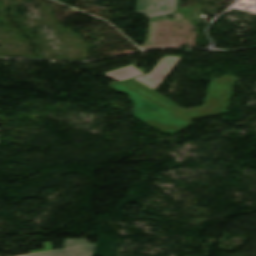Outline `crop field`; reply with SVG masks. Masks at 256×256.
Instances as JSON below:
<instances>
[{
    "instance_id": "8a807250",
    "label": "crop field",
    "mask_w": 256,
    "mask_h": 256,
    "mask_svg": "<svg viewBox=\"0 0 256 256\" xmlns=\"http://www.w3.org/2000/svg\"><path fill=\"white\" fill-rule=\"evenodd\" d=\"M234 82L233 77H221L211 82L204 105L193 109H181L132 79L112 83L110 88L131 97L135 105L132 116L164 133L176 134L193 125L191 119L227 111Z\"/></svg>"
},
{
    "instance_id": "ac0d7876",
    "label": "crop field",
    "mask_w": 256,
    "mask_h": 256,
    "mask_svg": "<svg viewBox=\"0 0 256 256\" xmlns=\"http://www.w3.org/2000/svg\"><path fill=\"white\" fill-rule=\"evenodd\" d=\"M181 58L182 57L174 56L163 57L150 73L133 79L154 90L175 67Z\"/></svg>"
},
{
    "instance_id": "34b2d1b8",
    "label": "crop field",
    "mask_w": 256,
    "mask_h": 256,
    "mask_svg": "<svg viewBox=\"0 0 256 256\" xmlns=\"http://www.w3.org/2000/svg\"><path fill=\"white\" fill-rule=\"evenodd\" d=\"M94 246L88 244L86 240L65 239L63 250L21 256H92Z\"/></svg>"
},
{
    "instance_id": "412701ff",
    "label": "crop field",
    "mask_w": 256,
    "mask_h": 256,
    "mask_svg": "<svg viewBox=\"0 0 256 256\" xmlns=\"http://www.w3.org/2000/svg\"><path fill=\"white\" fill-rule=\"evenodd\" d=\"M177 0H138L137 13L144 14L146 18L171 14L176 11Z\"/></svg>"
},
{
    "instance_id": "f4fd0767",
    "label": "crop field",
    "mask_w": 256,
    "mask_h": 256,
    "mask_svg": "<svg viewBox=\"0 0 256 256\" xmlns=\"http://www.w3.org/2000/svg\"><path fill=\"white\" fill-rule=\"evenodd\" d=\"M104 75L121 82L136 76L143 75V73H141L139 69L136 68L135 66L130 65V66L106 73Z\"/></svg>"
}]
</instances>
